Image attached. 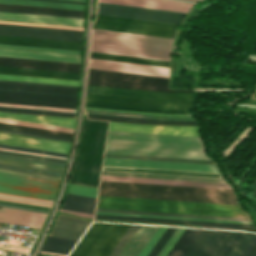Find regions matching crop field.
<instances>
[{
	"instance_id": "crop-field-22",
	"label": "crop field",
	"mask_w": 256,
	"mask_h": 256,
	"mask_svg": "<svg viewBox=\"0 0 256 256\" xmlns=\"http://www.w3.org/2000/svg\"><path fill=\"white\" fill-rule=\"evenodd\" d=\"M0 43L81 50L82 42L0 35Z\"/></svg>"
},
{
	"instance_id": "crop-field-21",
	"label": "crop field",
	"mask_w": 256,
	"mask_h": 256,
	"mask_svg": "<svg viewBox=\"0 0 256 256\" xmlns=\"http://www.w3.org/2000/svg\"><path fill=\"white\" fill-rule=\"evenodd\" d=\"M0 66L79 72L80 64L0 57Z\"/></svg>"
},
{
	"instance_id": "crop-field-64",
	"label": "crop field",
	"mask_w": 256,
	"mask_h": 256,
	"mask_svg": "<svg viewBox=\"0 0 256 256\" xmlns=\"http://www.w3.org/2000/svg\"><path fill=\"white\" fill-rule=\"evenodd\" d=\"M90 108V107H85ZM90 109H102V108H90ZM102 110H113V109H102ZM113 111H125V110H113ZM125 112H137V111H125ZM137 113H148V112H137ZM148 114H160V113H148ZM160 115H178V114H160Z\"/></svg>"
},
{
	"instance_id": "crop-field-66",
	"label": "crop field",
	"mask_w": 256,
	"mask_h": 256,
	"mask_svg": "<svg viewBox=\"0 0 256 256\" xmlns=\"http://www.w3.org/2000/svg\"><path fill=\"white\" fill-rule=\"evenodd\" d=\"M60 211L66 212V213H70V214H74V215H78V216L93 218V215H90V214L77 213V212H70V211H64V210H60Z\"/></svg>"
},
{
	"instance_id": "crop-field-60",
	"label": "crop field",
	"mask_w": 256,
	"mask_h": 256,
	"mask_svg": "<svg viewBox=\"0 0 256 256\" xmlns=\"http://www.w3.org/2000/svg\"><path fill=\"white\" fill-rule=\"evenodd\" d=\"M0 90H4V91H15V92H27V93H38V94H49V95H61V96H72V97H77V95H71V94L46 93V92H33V91L8 90V89H0Z\"/></svg>"
},
{
	"instance_id": "crop-field-37",
	"label": "crop field",
	"mask_w": 256,
	"mask_h": 256,
	"mask_svg": "<svg viewBox=\"0 0 256 256\" xmlns=\"http://www.w3.org/2000/svg\"><path fill=\"white\" fill-rule=\"evenodd\" d=\"M0 88L71 93V94H77V90H78V89H72V88L24 85V84H14V83H4V82H0Z\"/></svg>"
},
{
	"instance_id": "crop-field-43",
	"label": "crop field",
	"mask_w": 256,
	"mask_h": 256,
	"mask_svg": "<svg viewBox=\"0 0 256 256\" xmlns=\"http://www.w3.org/2000/svg\"><path fill=\"white\" fill-rule=\"evenodd\" d=\"M85 106L102 107V108H113V109H125V110H137V111H148V112H160V113L189 114V110H160V109L125 107V106H114V105H103V104H91V103H86Z\"/></svg>"
},
{
	"instance_id": "crop-field-18",
	"label": "crop field",
	"mask_w": 256,
	"mask_h": 256,
	"mask_svg": "<svg viewBox=\"0 0 256 256\" xmlns=\"http://www.w3.org/2000/svg\"><path fill=\"white\" fill-rule=\"evenodd\" d=\"M109 130L198 136V128L188 126H153L110 122Z\"/></svg>"
},
{
	"instance_id": "crop-field-25",
	"label": "crop field",
	"mask_w": 256,
	"mask_h": 256,
	"mask_svg": "<svg viewBox=\"0 0 256 256\" xmlns=\"http://www.w3.org/2000/svg\"><path fill=\"white\" fill-rule=\"evenodd\" d=\"M95 218L133 220V221H144V222H160V223L195 224V225H203V228H213V229L255 230L253 225H241V224L166 220V219H150V218H135V217H119V216H103V215H96Z\"/></svg>"
},
{
	"instance_id": "crop-field-29",
	"label": "crop field",
	"mask_w": 256,
	"mask_h": 256,
	"mask_svg": "<svg viewBox=\"0 0 256 256\" xmlns=\"http://www.w3.org/2000/svg\"><path fill=\"white\" fill-rule=\"evenodd\" d=\"M1 118L43 123L49 125L63 126V127H74L75 119L70 118H60V117H51V116H37V115H23V114H14V113H5L0 112Z\"/></svg>"
},
{
	"instance_id": "crop-field-17",
	"label": "crop field",
	"mask_w": 256,
	"mask_h": 256,
	"mask_svg": "<svg viewBox=\"0 0 256 256\" xmlns=\"http://www.w3.org/2000/svg\"><path fill=\"white\" fill-rule=\"evenodd\" d=\"M0 143L7 145H14L20 147H27L33 149H40L59 153H68L70 143L18 136L12 134L0 133Z\"/></svg>"
},
{
	"instance_id": "crop-field-13",
	"label": "crop field",
	"mask_w": 256,
	"mask_h": 256,
	"mask_svg": "<svg viewBox=\"0 0 256 256\" xmlns=\"http://www.w3.org/2000/svg\"><path fill=\"white\" fill-rule=\"evenodd\" d=\"M77 98L0 91L1 103L75 109Z\"/></svg>"
},
{
	"instance_id": "crop-field-68",
	"label": "crop field",
	"mask_w": 256,
	"mask_h": 256,
	"mask_svg": "<svg viewBox=\"0 0 256 256\" xmlns=\"http://www.w3.org/2000/svg\"><path fill=\"white\" fill-rule=\"evenodd\" d=\"M0 152H6V153H12V154H18V155L31 156V157H37V158H43V159H50V160H56V161L65 162V161H63V160H57V159H51V158H44V157H38V156H32V155H25V154H19V153L7 152V151H0Z\"/></svg>"
},
{
	"instance_id": "crop-field-15",
	"label": "crop field",
	"mask_w": 256,
	"mask_h": 256,
	"mask_svg": "<svg viewBox=\"0 0 256 256\" xmlns=\"http://www.w3.org/2000/svg\"><path fill=\"white\" fill-rule=\"evenodd\" d=\"M103 165L218 173L215 165L104 158Z\"/></svg>"
},
{
	"instance_id": "crop-field-55",
	"label": "crop field",
	"mask_w": 256,
	"mask_h": 256,
	"mask_svg": "<svg viewBox=\"0 0 256 256\" xmlns=\"http://www.w3.org/2000/svg\"><path fill=\"white\" fill-rule=\"evenodd\" d=\"M166 229H167V227H159V229L156 231V233L153 235V237L147 243V245L142 250V252L139 254V256H146Z\"/></svg>"
},
{
	"instance_id": "crop-field-53",
	"label": "crop field",
	"mask_w": 256,
	"mask_h": 256,
	"mask_svg": "<svg viewBox=\"0 0 256 256\" xmlns=\"http://www.w3.org/2000/svg\"><path fill=\"white\" fill-rule=\"evenodd\" d=\"M175 229L176 228L168 227V229L165 231V233L162 235V237L159 239V241L156 243V245L147 256H156L160 249L163 247V245L166 243V241L169 239V237L172 235V233L175 231Z\"/></svg>"
},
{
	"instance_id": "crop-field-12",
	"label": "crop field",
	"mask_w": 256,
	"mask_h": 256,
	"mask_svg": "<svg viewBox=\"0 0 256 256\" xmlns=\"http://www.w3.org/2000/svg\"><path fill=\"white\" fill-rule=\"evenodd\" d=\"M86 102L160 109H193L195 100H161L87 93Z\"/></svg>"
},
{
	"instance_id": "crop-field-3",
	"label": "crop field",
	"mask_w": 256,
	"mask_h": 256,
	"mask_svg": "<svg viewBox=\"0 0 256 256\" xmlns=\"http://www.w3.org/2000/svg\"><path fill=\"white\" fill-rule=\"evenodd\" d=\"M172 39L93 29L91 51L166 60Z\"/></svg>"
},
{
	"instance_id": "crop-field-34",
	"label": "crop field",
	"mask_w": 256,
	"mask_h": 256,
	"mask_svg": "<svg viewBox=\"0 0 256 256\" xmlns=\"http://www.w3.org/2000/svg\"><path fill=\"white\" fill-rule=\"evenodd\" d=\"M87 115L89 118H94V119L123 121V122L150 123V124L197 125L195 121H159V120L125 118V117H114V116H103V115H92V114H87Z\"/></svg>"
},
{
	"instance_id": "crop-field-40",
	"label": "crop field",
	"mask_w": 256,
	"mask_h": 256,
	"mask_svg": "<svg viewBox=\"0 0 256 256\" xmlns=\"http://www.w3.org/2000/svg\"><path fill=\"white\" fill-rule=\"evenodd\" d=\"M0 79L78 86V81H72V80L23 77V76H11V75H0Z\"/></svg>"
},
{
	"instance_id": "crop-field-4",
	"label": "crop field",
	"mask_w": 256,
	"mask_h": 256,
	"mask_svg": "<svg viewBox=\"0 0 256 256\" xmlns=\"http://www.w3.org/2000/svg\"><path fill=\"white\" fill-rule=\"evenodd\" d=\"M97 208L248 218L239 205L99 196Z\"/></svg>"
},
{
	"instance_id": "crop-field-27",
	"label": "crop field",
	"mask_w": 256,
	"mask_h": 256,
	"mask_svg": "<svg viewBox=\"0 0 256 256\" xmlns=\"http://www.w3.org/2000/svg\"><path fill=\"white\" fill-rule=\"evenodd\" d=\"M101 180L231 189L228 184L102 176Z\"/></svg>"
},
{
	"instance_id": "crop-field-59",
	"label": "crop field",
	"mask_w": 256,
	"mask_h": 256,
	"mask_svg": "<svg viewBox=\"0 0 256 256\" xmlns=\"http://www.w3.org/2000/svg\"><path fill=\"white\" fill-rule=\"evenodd\" d=\"M0 147L9 148V149H16V150H23V151H29V152H36V153H43V154H50V155H56V156H63V157L67 156V155H64V154L45 152V151H39V150H32V149H26V148H20V147H13V146L1 145V144H0Z\"/></svg>"
},
{
	"instance_id": "crop-field-67",
	"label": "crop field",
	"mask_w": 256,
	"mask_h": 256,
	"mask_svg": "<svg viewBox=\"0 0 256 256\" xmlns=\"http://www.w3.org/2000/svg\"><path fill=\"white\" fill-rule=\"evenodd\" d=\"M0 81L17 82V83H29V82H18V81H7V80H0ZM29 84H40V83H29ZM40 85H51V84H40ZM51 86H62V85H51ZM62 87H73V86H62ZM73 88H78V87H73Z\"/></svg>"
},
{
	"instance_id": "crop-field-48",
	"label": "crop field",
	"mask_w": 256,
	"mask_h": 256,
	"mask_svg": "<svg viewBox=\"0 0 256 256\" xmlns=\"http://www.w3.org/2000/svg\"><path fill=\"white\" fill-rule=\"evenodd\" d=\"M96 214L120 215V216H137V217H153V218H170V219H186V220H200V221H213V222H229V223H245V224H252V222H244V221L212 220V219L181 218V217L150 216V215H134V214H119V213H103V212H96Z\"/></svg>"
},
{
	"instance_id": "crop-field-65",
	"label": "crop field",
	"mask_w": 256,
	"mask_h": 256,
	"mask_svg": "<svg viewBox=\"0 0 256 256\" xmlns=\"http://www.w3.org/2000/svg\"><path fill=\"white\" fill-rule=\"evenodd\" d=\"M184 230L185 228H182V230L179 232V234L176 236V238L173 240L171 245L168 247V249L165 251V253L162 256H165L168 253V251L171 249V247L174 245V243L176 242V240L179 238V236L182 234Z\"/></svg>"
},
{
	"instance_id": "crop-field-63",
	"label": "crop field",
	"mask_w": 256,
	"mask_h": 256,
	"mask_svg": "<svg viewBox=\"0 0 256 256\" xmlns=\"http://www.w3.org/2000/svg\"><path fill=\"white\" fill-rule=\"evenodd\" d=\"M0 132H5V133H12V134H19V135H25V136H32V137H39V138H46V139H53V140H60V141H67V142H70V141H68V140L55 139V138L42 137V136H35V135L22 134V133H16V132H9V131H3V130H0Z\"/></svg>"
},
{
	"instance_id": "crop-field-20",
	"label": "crop field",
	"mask_w": 256,
	"mask_h": 256,
	"mask_svg": "<svg viewBox=\"0 0 256 256\" xmlns=\"http://www.w3.org/2000/svg\"><path fill=\"white\" fill-rule=\"evenodd\" d=\"M0 20L83 27L84 19L0 12Z\"/></svg>"
},
{
	"instance_id": "crop-field-73",
	"label": "crop field",
	"mask_w": 256,
	"mask_h": 256,
	"mask_svg": "<svg viewBox=\"0 0 256 256\" xmlns=\"http://www.w3.org/2000/svg\"><path fill=\"white\" fill-rule=\"evenodd\" d=\"M40 252H42V251H40ZM42 253H48V252H42ZM49 254H53V253H49ZM55 255H59V254H55ZM62 256H65V255H62Z\"/></svg>"
},
{
	"instance_id": "crop-field-56",
	"label": "crop field",
	"mask_w": 256,
	"mask_h": 256,
	"mask_svg": "<svg viewBox=\"0 0 256 256\" xmlns=\"http://www.w3.org/2000/svg\"><path fill=\"white\" fill-rule=\"evenodd\" d=\"M0 156L1 157L21 159V160L41 162V163L55 164V165H61V166L65 165V163H62V162L43 160V159H37V158H31V157H24V156H18V155L6 154V153H0Z\"/></svg>"
},
{
	"instance_id": "crop-field-24",
	"label": "crop field",
	"mask_w": 256,
	"mask_h": 256,
	"mask_svg": "<svg viewBox=\"0 0 256 256\" xmlns=\"http://www.w3.org/2000/svg\"><path fill=\"white\" fill-rule=\"evenodd\" d=\"M46 214L2 207L0 221L40 228Z\"/></svg>"
},
{
	"instance_id": "crop-field-32",
	"label": "crop field",
	"mask_w": 256,
	"mask_h": 256,
	"mask_svg": "<svg viewBox=\"0 0 256 256\" xmlns=\"http://www.w3.org/2000/svg\"><path fill=\"white\" fill-rule=\"evenodd\" d=\"M102 175L227 183L224 179L102 171Z\"/></svg>"
},
{
	"instance_id": "crop-field-69",
	"label": "crop field",
	"mask_w": 256,
	"mask_h": 256,
	"mask_svg": "<svg viewBox=\"0 0 256 256\" xmlns=\"http://www.w3.org/2000/svg\"><path fill=\"white\" fill-rule=\"evenodd\" d=\"M0 129H3V128H0ZM3 130L16 131V130H10V129H3ZM16 132L29 133V132H23V131H16ZM29 134L42 135V134H36V133H29ZM42 136H49V135H42ZM49 137H55V136H49ZM55 138H62V137H55ZM62 139H68V138H62ZM68 140H71V139H68Z\"/></svg>"
},
{
	"instance_id": "crop-field-54",
	"label": "crop field",
	"mask_w": 256,
	"mask_h": 256,
	"mask_svg": "<svg viewBox=\"0 0 256 256\" xmlns=\"http://www.w3.org/2000/svg\"><path fill=\"white\" fill-rule=\"evenodd\" d=\"M68 193L96 197L97 189L70 184Z\"/></svg>"
},
{
	"instance_id": "crop-field-14",
	"label": "crop field",
	"mask_w": 256,
	"mask_h": 256,
	"mask_svg": "<svg viewBox=\"0 0 256 256\" xmlns=\"http://www.w3.org/2000/svg\"><path fill=\"white\" fill-rule=\"evenodd\" d=\"M83 31L0 24V34L82 41Z\"/></svg>"
},
{
	"instance_id": "crop-field-50",
	"label": "crop field",
	"mask_w": 256,
	"mask_h": 256,
	"mask_svg": "<svg viewBox=\"0 0 256 256\" xmlns=\"http://www.w3.org/2000/svg\"><path fill=\"white\" fill-rule=\"evenodd\" d=\"M139 227L140 226L131 225V227L128 229V231L123 236L118 245L115 247L110 256H118L124 249V247L127 245V243L130 241V239L133 237V235L136 233V231L139 229Z\"/></svg>"
},
{
	"instance_id": "crop-field-62",
	"label": "crop field",
	"mask_w": 256,
	"mask_h": 256,
	"mask_svg": "<svg viewBox=\"0 0 256 256\" xmlns=\"http://www.w3.org/2000/svg\"><path fill=\"white\" fill-rule=\"evenodd\" d=\"M255 244H256V236L253 238V240L250 242V244L247 246V248L244 250L241 256H247Z\"/></svg>"
},
{
	"instance_id": "crop-field-57",
	"label": "crop field",
	"mask_w": 256,
	"mask_h": 256,
	"mask_svg": "<svg viewBox=\"0 0 256 256\" xmlns=\"http://www.w3.org/2000/svg\"><path fill=\"white\" fill-rule=\"evenodd\" d=\"M246 235V234H245ZM255 236V234L247 233V235L244 237V239L241 241V243L238 245V247L235 249V251L232 253L231 256H240V254L243 252V250L246 248V246L249 244V242L252 240V238Z\"/></svg>"
},
{
	"instance_id": "crop-field-70",
	"label": "crop field",
	"mask_w": 256,
	"mask_h": 256,
	"mask_svg": "<svg viewBox=\"0 0 256 256\" xmlns=\"http://www.w3.org/2000/svg\"><path fill=\"white\" fill-rule=\"evenodd\" d=\"M248 256H256V245H255V247L252 249V251L249 253Z\"/></svg>"
},
{
	"instance_id": "crop-field-9",
	"label": "crop field",
	"mask_w": 256,
	"mask_h": 256,
	"mask_svg": "<svg viewBox=\"0 0 256 256\" xmlns=\"http://www.w3.org/2000/svg\"><path fill=\"white\" fill-rule=\"evenodd\" d=\"M227 233L186 228L166 256H211Z\"/></svg>"
},
{
	"instance_id": "crop-field-5",
	"label": "crop field",
	"mask_w": 256,
	"mask_h": 256,
	"mask_svg": "<svg viewBox=\"0 0 256 256\" xmlns=\"http://www.w3.org/2000/svg\"><path fill=\"white\" fill-rule=\"evenodd\" d=\"M108 123L84 119L79 155L70 183L98 187Z\"/></svg>"
},
{
	"instance_id": "crop-field-45",
	"label": "crop field",
	"mask_w": 256,
	"mask_h": 256,
	"mask_svg": "<svg viewBox=\"0 0 256 256\" xmlns=\"http://www.w3.org/2000/svg\"><path fill=\"white\" fill-rule=\"evenodd\" d=\"M0 110L42 114V115L68 116V117H74V115H75V113H70V112H58V111L35 110V109L1 107V106H0Z\"/></svg>"
},
{
	"instance_id": "crop-field-16",
	"label": "crop field",
	"mask_w": 256,
	"mask_h": 256,
	"mask_svg": "<svg viewBox=\"0 0 256 256\" xmlns=\"http://www.w3.org/2000/svg\"><path fill=\"white\" fill-rule=\"evenodd\" d=\"M89 68L157 76V77H165V78H168V72H169V68H165V67H157V66H149V65L93 59V58H90Z\"/></svg>"
},
{
	"instance_id": "crop-field-41",
	"label": "crop field",
	"mask_w": 256,
	"mask_h": 256,
	"mask_svg": "<svg viewBox=\"0 0 256 256\" xmlns=\"http://www.w3.org/2000/svg\"><path fill=\"white\" fill-rule=\"evenodd\" d=\"M0 8L43 11V12H55V13H66V14H78V15H83L84 14V11H79V10H67V9H56V8L10 5V4H0Z\"/></svg>"
},
{
	"instance_id": "crop-field-49",
	"label": "crop field",
	"mask_w": 256,
	"mask_h": 256,
	"mask_svg": "<svg viewBox=\"0 0 256 256\" xmlns=\"http://www.w3.org/2000/svg\"><path fill=\"white\" fill-rule=\"evenodd\" d=\"M0 122L17 124V125H24V126H30V127H37V128H43V129H50V130H56V131H63V132H69V133L73 132V129H70V128L49 126V125L22 122V121H15V120H8V119H1V118H0Z\"/></svg>"
},
{
	"instance_id": "crop-field-33",
	"label": "crop field",
	"mask_w": 256,
	"mask_h": 256,
	"mask_svg": "<svg viewBox=\"0 0 256 256\" xmlns=\"http://www.w3.org/2000/svg\"><path fill=\"white\" fill-rule=\"evenodd\" d=\"M245 234L244 232L229 231L212 256H230Z\"/></svg>"
},
{
	"instance_id": "crop-field-8",
	"label": "crop field",
	"mask_w": 256,
	"mask_h": 256,
	"mask_svg": "<svg viewBox=\"0 0 256 256\" xmlns=\"http://www.w3.org/2000/svg\"><path fill=\"white\" fill-rule=\"evenodd\" d=\"M129 227L94 223L69 256H108Z\"/></svg>"
},
{
	"instance_id": "crop-field-52",
	"label": "crop field",
	"mask_w": 256,
	"mask_h": 256,
	"mask_svg": "<svg viewBox=\"0 0 256 256\" xmlns=\"http://www.w3.org/2000/svg\"><path fill=\"white\" fill-rule=\"evenodd\" d=\"M0 168L61 177L62 173L0 164Z\"/></svg>"
},
{
	"instance_id": "crop-field-30",
	"label": "crop field",
	"mask_w": 256,
	"mask_h": 256,
	"mask_svg": "<svg viewBox=\"0 0 256 256\" xmlns=\"http://www.w3.org/2000/svg\"><path fill=\"white\" fill-rule=\"evenodd\" d=\"M158 227L141 226L120 256H138Z\"/></svg>"
},
{
	"instance_id": "crop-field-47",
	"label": "crop field",
	"mask_w": 256,
	"mask_h": 256,
	"mask_svg": "<svg viewBox=\"0 0 256 256\" xmlns=\"http://www.w3.org/2000/svg\"><path fill=\"white\" fill-rule=\"evenodd\" d=\"M96 211L250 221L249 219H241V218L210 217V216H195V215H180V214L150 213V212H134V211H119V210H104V209H97Z\"/></svg>"
},
{
	"instance_id": "crop-field-35",
	"label": "crop field",
	"mask_w": 256,
	"mask_h": 256,
	"mask_svg": "<svg viewBox=\"0 0 256 256\" xmlns=\"http://www.w3.org/2000/svg\"><path fill=\"white\" fill-rule=\"evenodd\" d=\"M76 242L75 240L48 237L41 250L68 255Z\"/></svg>"
},
{
	"instance_id": "crop-field-72",
	"label": "crop field",
	"mask_w": 256,
	"mask_h": 256,
	"mask_svg": "<svg viewBox=\"0 0 256 256\" xmlns=\"http://www.w3.org/2000/svg\"><path fill=\"white\" fill-rule=\"evenodd\" d=\"M68 1H80V2H85V0H68Z\"/></svg>"
},
{
	"instance_id": "crop-field-23",
	"label": "crop field",
	"mask_w": 256,
	"mask_h": 256,
	"mask_svg": "<svg viewBox=\"0 0 256 256\" xmlns=\"http://www.w3.org/2000/svg\"><path fill=\"white\" fill-rule=\"evenodd\" d=\"M91 222L59 215L50 236L79 240Z\"/></svg>"
},
{
	"instance_id": "crop-field-71",
	"label": "crop field",
	"mask_w": 256,
	"mask_h": 256,
	"mask_svg": "<svg viewBox=\"0 0 256 256\" xmlns=\"http://www.w3.org/2000/svg\"><path fill=\"white\" fill-rule=\"evenodd\" d=\"M44 1H56V2H67V3H79V4H84L80 2H68V1H57V0H44Z\"/></svg>"
},
{
	"instance_id": "crop-field-26",
	"label": "crop field",
	"mask_w": 256,
	"mask_h": 256,
	"mask_svg": "<svg viewBox=\"0 0 256 256\" xmlns=\"http://www.w3.org/2000/svg\"><path fill=\"white\" fill-rule=\"evenodd\" d=\"M0 56L80 63L81 56L0 49Z\"/></svg>"
},
{
	"instance_id": "crop-field-6",
	"label": "crop field",
	"mask_w": 256,
	"mask_h": 256,
	"mask_svg": "<svg viewBox=\"0 0 256 256\" xmlns=\"http://www.w3.org/2000/svg\"><path fill=\"white\" fill-rule=\"evenodd\" d=\"M102 2H110L124 5H132L146 8H154L168 11H176L187 13L192 5L182 2H174L167 0H99ZM98 3L97 14L126 17L150 21H159L167 23L179 24L185 16L183 13H175L161 10H153L139 7H131L109 3Z\"/></svg>"
},
{
	"instance_id": "crop-field-10",
	"label": "crop field",
	"mask_w": 256,
	"mask_h": 256,
	"mask_svg": "<svg viewBox=\"0 0 256 256\" xmlns=\"http://www.w3.org/2000/svg\"><path fill=\"white\" fill-rule=\"evenodd\" d=\"M167 80L164 78L100 71L89 69L88 84L163 91V92H193L192 90H167Z\"/></svg>"
},
{
	"instance_id": "crop-field-38",
	"label": "crop field",
	"mask_w": 256,
	"mask_h": 256,
	"mask_svg": "<svg viewBox=\"0 0 256 256\" xmlns=\"http://www.w3.org/2000/svg\"><path fill=\"white\" fill-rule=\"evenodd\" d=\"M90 57L169 67V62H166V61H158V60L94 53V52H91Z\"/></svg>"
},
{
	"instance_id": "crop-field-11",
	"label": "crop field",
	"mask_w": 256,
	"mask_h": 256,
	"mask_svg": "<svg viewBox=\"0 0 256 256\" xmlns=\"http://www.w3.org/2000/svg\"><path fill=\"white\" fill-rule=\"evenodd\" d=\"M179 25L97 15L93 28L173 38Z\"/></svg>"
},
{
	"instance_id": "crop-field-61",
	"label": "crop field",
	"mask_w": 256,
	"mask_h": 256,
	"mask_svg": "<svg viewBox=\"0 0 256 256\" xmlns=\"http://www.w3.org/2000/svg\"><path fill=\"white\" fill-rule=\"evenodd\" d=\"M0 206L12 207V208H18V209H25V210H31V211H38V212L48 213V211H46V210L33 209V208H26V207L13 206V205H7V204H0Z\"/></svg>"
},
{
	"instance_id": "crop-field-39",
	"label": "crop field",
	"mask_w": 256,
	"mask_h": 256,
	"mask_svg": "<svg viewBox=\"0 0 256 256\" xmlns=\"http://www.w3.org/2000/svg\"><path fill=\"white\" fill-rule=\"evenodd\" d=\"M0 3L84 10V5H79V4H67V3L44 2V1H33V0H0Z\"/></svg>"
},
{
	"instance_id": "crop-field-19",
	"label": "crop field",
	"mask_w": 256,
	"mask_h": 256,
	"mask_svg": "<svg viewBox=\"0 0 256 256\" xmlns=\"http://www.w3.org/2000/svg\"><path fill=\"white\" fill-rule=\"evenodd\" d=\"M87 92L92 93H104V94H115V95H127V96H138V97H149V98H161V99H195L193 93H162L102 86L88 85Z\"/></svg>"
},
{
	"instance_id": "crop-field-51",
	"label": "crop field",
	"mask_w": 256,
	"mask_h": 256,
	"mask_svg": "<svg viewBox=\"0 0 256 256\" xmlns=\"http://www.w3.org/2000/svg\"><path fill=\"white\" fill-rule=\"evenodd\" d=\"M0 199L23 202V203H29V204H35V205H41V206H47V207H51V205H52V202H50V201L30 199V198L4 195V194H0Z\"/></svg>"
},
{
	"instance_id": "crop-field-28",
	"label": "crop field",
	"mask_w": 256,
	"mask_h": 256,
	"mask_svg": "<svg viewBox=\"0 0 256 256\" xmlns=\"http://www.w3.org/2000/svg\"><path fill=\"white\" fill-rule=\"evenodd\" d=\"M0 74L78 80L79 73L0 67Z\"/></svg>"
},
{
	"instance_id": "crop-field-36",
	"label": "crop field",
	"mask_w": 256,
	"mask_h": 256,
	"mask_svg": "<svg viewBox=\"0 0 256 256\" xmlns=\"http://www.w3.org/2000/svg\"><path fill=\"white\" fill-rule=\"evenodd\" d=\"M85 111L86 113H92V114L126 116V117H137V118L159 119V120H193L192 117L160 116V115H148V114L113 112V111L90 110V109H85Z\"/></svg>"
},
{
	"instance_id": "crop-field-46",
	"label": "crop field",
	"mask_w": 256,
	"mask_h": 256,
	"mask_svg": "<svg viewBox=\"0 0 256 256\" xmlns=\"http://www.w3.org/2000/svg\"><path fill=\"white\" fill-rule=\"evenodd\" d=\"M0 127L71 138L72 134L0 123Z\"/></svg>"
},
{
	"instance_id": "crop-field-1",
	"label": "crop field",
	"mask_w": 256,
	"mask_h": 256,
	"mask_svg": "<svg viewBox=\"0 0 256 256\" xmlns=\"http://www.w3.org/2000/svg\"><path fill=\"white\" fill-rule=\"evenodd\" d=\"M105 153L208 159L199 137L116 131H109Z\"/></svg>"
},
{
	"instance_id": "crop-field-7",
	"label": "crop field",
	"mask_w": 256,
	"mask_h": 256,
	"mask_svg": "<svg viewBox=\"0 0 256 256\" xmlns=\"http://www.w3.org/2000/svg\"><path fill=\"white\" fill-rule=\"evenodd\" d=\"M4 172H11L17 174H24L30 176H37L43 178H50L59 180L57 177H50L44 175L30 174L24 172L3 170ZM0 172V193L13 194L19 196L33 197L39 199L49 200L54 198L59 181L43 179L37 177L23 176L17 174H10Z\"/></svg>"
},
{
	"instance_id": "crop-field-31",
	"label": "crop field",
	"mask_w": 256,
	"mask_h": 256,
	"mask_svg": "<svg viewBox=\"0 0 256 256\" xmlns=\"http://www.w3.org/2000/svg\"><path fill=\"white\" fill-rule=\"evenodd\" d=\"M95 201L96 198L93 197L67 194L61 209L93 214Z\"/></svg>"
},
{
	"instance_id": "crop-field-58",
	"label": "crop field",
	"mask_w": 256,
	"mask_h": 256,
	"mask_svg": "<svg viewBox=\"0 0 256 256\" xmlns=\"http://www.w3.org/2000/svg\"><path fill=\"white\" fill-rule=\"evenodd\" d=\"M0 11H9V12H20V13H32V14H43V15H55V16H66V17L83 18V16H78V15H66V14L43 13V12H32V11H20V10H9V9H0Z\"/></svg>"
},
{
	"instance_id": "crop-field-42",
	"label": "crop field",
	"mask_w": 256,
	"mask_h": 256,
	"mask_svg": "<svg viewBox=\"0 0 256 256\" xmlns=\"http://www.w3.org/2000/svg\"><path fill=\"white\" fill-rule=\"evenodd\" d=\"M0 48L81 55V51L0 44Z\"/></svg>"
},
{
	"instance_id": "crop-field-44",
	"label": "crop field",
	"mask_w": 256,
	"mask_h": 256,
	"mask_svg": "<svg viewBox=\"0 0 256 256\" xmlns=\"http://www.w3.org/2000/svg\"><path fill=\"white\" fill-rule=\"evenodd\" d=\"M104 157L214 164L212 161H204V160L173 159V158H158V157H143V156H127V155H112V154H105Z\"/></svg>"
},
{
	"instance_id": "crop-field-2",
	"label": "crop field",
	"mask_w": 256,
	"mask_h": 256,
	"mask_svg": "<svg viewBox=\"0 0 256 256\" xmlns=\"http://www.w3.org/2000/svg\"><path fill=\"white\" fill-rule=\"evenodd\" d=\"M99 195L238 204L233 190L108 181Z\"/></svg>"
}]
</instances>
